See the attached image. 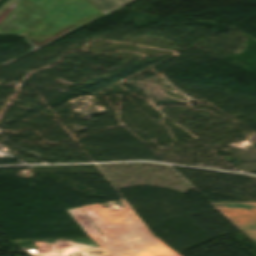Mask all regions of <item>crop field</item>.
Listing matches in <instances>:
<instances>
[{"label": "crop field", "mask_w": 256, "mask_h": 256, "mask_svg": "<svg viewBox=\"0 0 256 256\" xmlns=\"http://www.w3.org/2000/svg\"><path fill=\"white\" fill-rule=\"evenodd\" d=\"M124 209L110 211L93 204L69 209V213L100 247L112 256H178L151 236L122 200Z\"/></svg>", "instance_id": "8a807250"}, {"label": "crop field", "mask_w": 256, "mask_h": 256, "mask_svg": "<svg viewBox=\"0 0 256 256\" xmlns=\"http://www.w3.org/2000/svg\"><path fill=\"white\" fill-rule=\"evenodd\" d=\"M87 16L102 14L87 0H58L28 31L38 42Z\"/></svg>", "instance_id": "ac0d7876"}, {"label": "crop field", "mask_w": 256, "mask_h": 256, "mask_svg": "<svg viewBox=\"0 0 256 256\" xmlns=\"http://www.w3.org/2000/svg\"><path fill=\"white\" fill-rule=\"evenodd\" d=\"M21 5L0 24V34L24 36L25 32L46 12L29 0H13ZM17 4L5 12L9 13Z\"/></svg>", "instance_id": "34b2d1b8"}, {"label": "crop field", "mask_w": 256, "mask_h": 256, "mask_svg": "<svg viewBox=\"0 0 256 256\" xmlns=\"http://www.w3.org/2000/svg\"><path fill=\"white\" fill-rule=\"evenodd\" d=\"M256 243V203H212Z\"/></svg>", "instance_id": "412701ff"}, {"label": "crop field", "mask_w": 256, "mask_h": 256, "mask_svg": "<svg viewBox=\"0 0 256 256\" xmlns=\"http://www.w3.org/2000/svg\"><path fill=\"white\" fill-rule=\"evenodd\" d=\"M103 15H106L134 0H88Z\"/></svg>", "instance_id": "f4fd0767"}]
</instances>
